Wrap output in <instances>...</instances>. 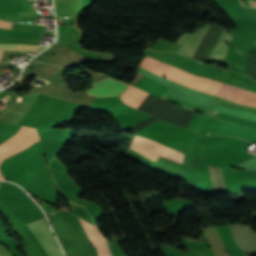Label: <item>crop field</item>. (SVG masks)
I'll return each mask as SVG.
<instances>
[{"label":"crop field","instance_id":"f4fd0767","mask_svg":"<svg viewBox=\"0 0 256 256\" xmlns=\"http://www.w3.org/2000/svg\"><path fill=\"white\" fill-rule=\"evenodd\" d=\"M93 89L86 90L84 93L95 95L98 97L102 96H119L127 88V84L112 79L110 77L94 81Z\"/></svg>","mask_w":256,"mask_h":256},{"label":"crop field","instance_id":"22f410ed","mask_svg":"<svg viewBox=\"0 0 256 256\" xmlns=\"http://www.w3.org/2000/svg\"><path fill=\"white\" fill-rule=\"evenodd\" d=\"M41 46L0 44V50H24L36 52Z\"/></svg>","mask_w":256,"mask_h":256},{"label":"crop field","instance_id":"e52e79f7","mask_svg":"<svg viewBox=\"0 0 256 256\" xmlns=\"http://www.w3.org/2000/svg\"><path fill=\"white\" fill-rule=\"evenodd\" d=\"M80 219V218H79ZM82 226L96 248L98 256H111L107 244L101 239L96 227L88 224L84 220L80 219Z\"/></svg>","mask_w":256,"mask_h":256},{"label":"crop field","instance_id":"ac0d7876","mask_svg":"<svg viewBox=\"0 0 256 256\" xmlns=\"http://www.w3.org/2000/svg\"><path fill=\"white\" fill-rule=\"evenodd\" d=\"M38 140H40V138L35 128L22 126L16 135L0 145V162L3 159L22 151ZM0 179L3 180L1 175Z\"/></svg>","mask_w":256,"mask_h":256},{"label":"crop field","instance_id":"28ad6ade","mask_svg":"<svg viewBox=\"0 0 256 256\" xmlns=\"http://www.w3.org/2000/svg\"><path fill=\"white\" fill-rule=\"evenodd\" d=\"M167 94H170L172 96L178 97V98L183 99L185 101H188V102H191V103H194V104H197V105H200L202 107H205V108H208V109L212 110V103H209V102H206L204 100L192 97L190 95L178 92L176 90H173V89L169 88L168 91H167Z\"/></svg>","mask_w":256,"mask_h":256},{"label":"crop field","instance_id":"5142ce71","mask_svg":"<svg viewBox=\"0 0 256 256\" xmlns=\"http://www.w3.org/2000/svg\"><path fill=\"white\" fill-rule=\"evenodd\" d=\"M252 6L256 7V1H253Z\"/></svg>","mask_w":256,"mask_h":256},{"label":"crop field","instance_id":"dd49c442","mask_svg":"<svg viewBox=\"0 0 256 256\" xmlns=\"http://www.w3.org/2000/svg\"><path fill=\"white\" fill-rule=\"evenodd\" d=\"M144 66L162 74V75H165L167 77H171L175 80H178V81H181L183 83H186L190 86H193V87H197V88H200V89H204V90H207V91H211V92H214V93H217L223 97H226V98H230V99H233V100H236V101H240V102H244V103H247V104H253V105H256V101H253V100H249V99H246V98H242V97H239V96H236V95H233V94H230V93H226V92H223V91H220V90H217V89H214V88H211V87H208V86H205V85H202V84H199V83H196V82H193V81H190V80H187L185 78H182L180 76H177L175 74H172L170 72H167L163 69H160L158 67H155L153 65H150L148 63L145 62Z\"/></svg>","mask_w":256,"mask_h":256},{"label":"crop field","instance_id":"cbeb9de0","mask_svg":"<svg viewBox=\"0 0 256 256\" xmlns=\"http://www.w3.org/2000/svg\"><path fill=\"white\" fill-rule=\"evenodd\" d=\"M12 23L0 21V27L9 29Z\"/></svg>","mask_w":256,"mask_h":256},{"label":"crop field","instance_id":"34b2d1b8","mask_svg":"<svg viewBox=\"0 0 256 256\" xmlns=\"http://www.w3.org/2000/svg\"><path fill=\"white\" fill-rule=\"evenodd\" d=\"M131 149L156 161L159 155L183 164L184 155L152 140L135 136ZM154 161V162H155Z\"/></svg>","mask_w":256,"mask_h":256},{"label":"crop field","instance_id":"412701ff","mask_svg":"<svg viewBox=\"0 0 256 256\" xmlns=\"http://www.w3.org/2000/svg\"><path fill=\"white\" fill-rule=\"evenodd\" d=\"M49 256H64L50 227L43 218L27 224Z\"/></svg>","mask_w":256,"mask_h":256},{"label":"crop field","instance_id":"5a996713","mask_svg":"<svg viewBox=\"0 0 256 256\" xmlns=\"http://www.w3.org/2000/svg\"><path fill=\"white\" fill-rule=\"evenodd\" d=\"M133 85L160 98L165 94L167 90V87L151 81L145 77Z\"/></svg>","mask_w":256,"mask_h":256},{"label":"crop field","instance_id":"d8731c3e","mask_svg":"<svg viewBox=\"0 0 256 256\" xmlns=\"http://www.w3.org/2000/svg\"><path fill=\"white\" fill-rule=\"evenodd\" d=\"M146 95L147 93L129 85L127 90L120 96V98L122 102L137 108Z\"/></svg>","mask_w":256,"mask_h":256},{"label":"crop field","instance_id":"8a807250","mask_svg":"<svg viewBox=\"0 0 256 256\" xmlns=\"http://www.w3.org/2000/svg\"><path fill=\"white\" fill-rule=\"evenodd\" d=\"M207 25L204 27H201L199 29H197L196 31H194L193 33H191L188 37L187 33L184 34L182 37L179 38V40L177 41L178 44H180V42L185 38V36L187 35V39L185 41V39L182 41V43L180 44V49L178 50V53L184 55V56H189L191 57L195 47L197 46L201 36L203 35L205 29H206ZM224 27L219 26L215 23H212L210 25H208L202 39L200 40L197 48L195 49L193 55L191 58L194 59H198L200 61H204L206 62L208 56L210 55L216 41L218 40L222 30ZM231 35L226 31V29L224 28L218 42L216 43L211 55L212 56H216V57H220L222 58L223 55L225 54V52L227 51V47H226V43L230 40Z\"/></svg>","mask_w":256,"mask_h":256},{"label":"crop field","instance_id":"3316defc","mask_svg":"<svg viewBox=\"0 0 256 256\" xmlns=\"http://www.w3.org/2000/svg\"><path fill=\"white\" fill-rule=\"evenodd\" d=\"M216 228L225 249L239 250L237 244L232 238V235L228 226H219Z\"/></svg>","mask_w":256,"mask_h":256},{"label":"crop field","instance_id":"d1516ede","mask_svg":"<svg viewBox=\"0 0 256 256\" xmlns=\"http://www.w3.org/2000/svg\"><path fill=\"white\" fill-rule=\"evenodd\" d=\"M0 34L13 37H24V38H38L40 33L36 32H21L14 30H5L0 28Z\"/></svg>","mask_w":256,"mask_h":256}]
</instances>
